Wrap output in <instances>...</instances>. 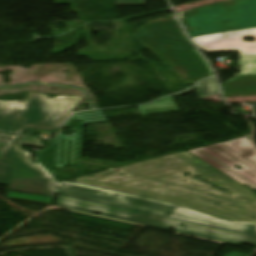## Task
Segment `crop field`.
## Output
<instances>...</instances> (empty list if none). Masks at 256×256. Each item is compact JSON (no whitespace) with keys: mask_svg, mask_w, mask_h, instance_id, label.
<instances>
[{"mask_svg":"<svg viewBox=\"0 0 256 256\" xmlns=\"http://www.w3.org/2000/svg\"><path fill=\"white\" fill-rule=\"evenodd\" d=\"M116 173L115 171H119ZM191 175L183 177V173ZM125 175L120 177V175ZM199 176L233 196L191 177ZM77 183L175 204L222 220L256 224V194L186 152L77 179ZM156 188H151L150 186Z\"/></svg>","mask_w":256,"mask_h":256,"instance_id":"1","label":"crop field"},{"mask_svg":"<svg viewBox=\"0 0 256 256\" xmlns=\"http://www.w3.org/2000/svg\"><path fill=\"white\" fill-rule=\"evenodd\" d=\"M175 19V16H170V19L149 22L139 28L135 37L186 85L214 76L210 66L187 40Z\"/></svg>","mask_w":256,"mask_h":256,"instance_id":"2","label":"crop field"},{"mask_svg":"<svg viewBox=\"0 0 256 256\" xmlns=\"http://www.w3.org/2000/svg\"><path fill=\"white\" fill-rule=\"evenodd\" d=\"M68 196L153 213L211 227L256 235V225L222 221L175 205L130 196L85 185L61 182L58 192ZM173 210L175 212H173Z\"/></svg>","mask_w":256,"mask_h":256,"instance_id":"3","label":"crop field"},{"mask_svg":"<svg viewBox=\"0 0 256 256\" xmlns=\"http://www.w3.org/2000/svg\"><path fill=\"white\" fill-rule=\"evenodd\" d=\"M79 100L30 93L23 103L0 102V134L19 136L25 128L58 131Z\"/></svg>","mask_w":256,"mask_h":256,"instance_id":"4","label":"crop field"},{"mask_svg":"<svg viewBox=\"0 0 256 256\" xmlns=\"http://www.w3.org/2000/svg\"><path fill=\"white\" fill-rule=\"evenodd\" d=\"M55 205L85 211L89 213H99L102 214L103 216L118 218L153 227L175 229V232L214 239L238 246L245 244L256 247L255 237L225 231L221 229L211 228L207 226L171 220L149 214L83 201L79 199L69 198L65 196L58 195ZM182 223L185 224V226H181Z\"/></svg>","mask_w":256,"mask_h":256,"instance_id":"5","label":"crop field"},{"mask_svg":"<svg viewBox=\"0 0 256 256\" xmlns=\"http://www.w3.org/2000/svg\"><path fill=\"white\" fill-rule=\"evenodd\" d=\"M244 37H256V28L192 38L204 52L239 51L240 77L222 85L225 98L256 95V40Z\"/></svg>","mask_w":256,"mask_h":256,"instance_id":"6","label":"crop field"},{"mask_svg":"<svg viewBox=\"0 0 256 256\" xmlns=\"http://www.w3.org/2000/svg\"><path fill=\"white\" fill-rule=\"evenodd\" d=\"M190 37L256 27V0H228L179 13Z\"/></svg>","mask_w":256,"mask_h":256,"instance_id":"7","label":"crop field"},{"mask_svg":"<svg viewBox=\"0 0 256 256\" xmlns=\"http://www.w3.org/2000/svg\"><path fill=\"white\" fill-rule=\"evenodd\" d=\"M224 145L228 147H225ZM201 150L234 169L249 180L239 176L240 174H236L234 171L223 166L200 150L190 151L239 183L247 185L252 189H256V150L250 140L246 138L236 139L227 143L201 148ZM252 162L254 164H252ZM236 165L243 167V169L238 170L233 168Z\"/></svg>","mask_w":256,"mask_h":256,"instance_id":"8","label":"crop field"},{"mask_svg":"<svg viewBox=\"0 0 256 256\" xmlns=\"http://www.w3.org/2000/svg\"><path fill=\"white\" fill-rule=\"evenodd\" d=\"M29 157L21 146H14L7 156L5 162L13 163L9 190L55 196L59 184L54 174L41 160L35 164Z\"/></svg>","mask_w":256,"mask_h":256,"instance_id":"9","label":"crop field"},{"mask_svg":"<svg viewBox=\"0 0 256 256\" xmlns=\"http://www.w3.org/2000/svg\"><path fill=\"white\" fill-rule=\"evenodd\" d=\"M78 119H80V121H78ZM105 122H107V120L101 110L75 113L66 124L67 127H73L76 130L75 137L68 138L64 135L56 136L48 149L37 152L38 158L49 168H63L64 166L80 165L83 125ZM81 130L82 132H80ZM60 158H62V160H60Z\"/></svg>","mask_w":256,"mask_h":256,"instance_id":"10","label":"crop field"},{"mask_svg":"<svg viewBox=\"0 0 256 256\" xmlns=\"http://www.w3.org/2000/svg\"><path fill=\"white\" fill-rule=\"evenodd\" d=\"M139 109L143 116L179 111L172 96L149 105L140 106Z\"/></svg>","mask_w":256,"mask_h":256,"instance_id":"11","label":"crop field"},{"mask_svg":"<svg viewBox=\"0 0 256 256\" xmlns=\"http://www.w3.org/2000/svg\"><path fill=\"white\" fill-rule=\"evenodd\" d=\"M11 137L12 136L0 135V184L4 185H7L8 183L11 164H5L2 163V161L4 160L14 140L17 139V137L10 139Z\"/></svg>","mask_w":256,"mask_h":256,"instance_id":"12","label":"crop field"},{"mask_svg":"<svg viewBox=\"0 0 256 256\" xmlns=\"http://www.w3.org/2000/svg\"><path fill=\"white\" fill-rule=\"evenodd\" d=\"M33 131L47 133V134L57 133L52 131L25 129L20 139L16 141L15 145H23V146H30V147H46V146L40 145L42 141L33 136V133H31Z\"/></svg>","mask_w":256,"mask_h":256,"instance_id":"13","label":"crop field"},{"mask_svg":"<svg viewBox=\"0 0 256 256\" xmlns=\"http://www.w3.org/2000/svg\"><path fill=\"white\" fill-rule=\"evenodd\" d=\"M7 198L10 199H18V200H25L43 204L51 205L53 203L54 197H47V196H37L31 194H24V193H17L8 191Z\"/></svg>","mask_w":256,"mask_h":256,"instance_id":"14","label":"crop field"},{"mask_svg":"<svg viewBox=\"0 0 256 256\" xmlns=\"http://www.w3.org/2000/svg\"><path fill=\"white\" fill-rule=\"evenodd\" d=\"M196 88L199 97L218 93L216 80L212 78L196 85Z\"/></svg>","mask_w":256,"mask_h":256,"instance_id":"15","label":"crop field"},{"mask_svg":"<svg viewBox=\"0 0 256 256\" xmlns=\"http://www.w3.org/2000/svg\"><path fill=\"white\" fill-rule=\"evenodd\" d=\"M116 5H144V0H116Z\"/></svg>","mask_w":256,"mask_h":256,"instance_id":"16","label":"crop field"},{"mask_svg":"<svg viewBox=\"0 0 256 256\" xmlns=\"http://www.w3.org/2000/svg\"><path fill=\"white\" fill-rule=\"evenodd\" d=\"M226 256H248V255H243L241 253H230V254H228Z\"/></svg>","mask_w":256,"mask_h":256,"instance_id":"17","label":"crop field"}]
</instances>
